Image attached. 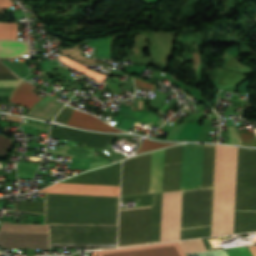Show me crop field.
Returning <instances> with one entry per match:
<instances>
[{
  "label": "crop field",
  "instance_id": "obj_1",
  "mask_svg": "<svg viewBox=\"0 0 256 256\" xmlns=\"http://www.w3.org/2000/svg\"><path fill=\"white\" fill-rule=\"evenodd\" d=\"M45 202H15L19 212L43 214ZM119 198L46 194L44 224L117 225Z\"/></svg>",
  "mask_w": 256,
  "mask_h": 256
},
{
  "label": "crop field",
  "instance_id": "obj_2",
  "mask_svg": "<svg viewBox=\"0 0 256 256\" xmlns=\"http://www.w3.org/2000/svg\"><path fill=\"white\" fill-rule=\"evenodd\" d=\"M117 226L51 225V245L116 246ZM0 244L5 247L48 248V225H2Z\"/></svg>",
  "mask_w": 256,
  "mask_h": 256
},
{
  "label": "crop field",
  "instance_id": "obj_3",
  "mask_svg": "<svg viewBox=\"0 0 256 256\" xmlns=\"http://www.w3.org/2000/svg\"><path fill=\"white\" fill-rule=\"evenodd\" d=\"M237 149L216 145L212 236L233 234Z\"/></svg>",
  "mask_w": 256,
  "mask_h": 256
},
{
  "label": "crop field",
  "instance_id": "obj_4",
  "mask_svg": "<svg viewBox=\"0 0 256 256\" xmlns=\"http://www.w3.org/2000/svg\"><path fill=\"white\" fill-rule=\"evenodd\" d=\"M212 188L183 191L181 229L210 226Z\"/></svg>",
  "mask_w": 256,
  "mask_h": 256
},
{
  "label": "crop field",
  "instance_id": "obj_5",
  "mask_svg": "<svg viewBox=\"0 0 256 256\" xmlns=\"http://www.w3.org/2000/svg\"><path fill=\"white\" fill-rule=\"evenodd\" d=\"M151 152L123 161L121 196L149 193Z\"/></svg>",
  "mask_w": 256,
  "mask_h": 256
},
{
  "label": "crop field",
  "instance_id": "obj_6",
  "mask_svg": "<svg viewBox=\"0 0 256 256\" xmlns=\"http://www.w3.org/2000/svg\"><path fill=\"white\" fill-rule=\"evenodd\" d=\"M204 149L201 145L183 146L180 190L202 187Z\"/></svg>",
  "mask_w": 256,
  "mask_h": 256
},
{
  "label": "crop field",
  "instance_id": "obj_7",
  "mask_svg": "<svg viewBox=\"0 0 256 256\" xmlns=\"http://www.w3.org/2000/svg\"><path fill=\"white\" fill-rule=\"evenodd\" d=\"M97 256H185L178 242L96 251Z\"/></svg>",
  "mask_w": 256,
  "mask_h": 256
},
{
  "label": "crop field",
  "instance_id": "obj_8",
  "mask_svg": "<svg viewBox=\"0 0 256 256\" xmlns=\"http://www.w3.org/2000/svg\"><path fill=\"white\" fill-rule=\"evenodd\" d=\"M121 162L90 170L61 182L119 186Z\"/></svg>",
  "mask_w": 256,
  "mask_h": 256
},
{
  "label": "crop field",
  "instance_id": "obj_9",
  "mask_svg": "<svg viewBox=\"0 0 256 256\" xmlns=\"http://www.w3.org/2000/svg\"><path fill=\"white\" fill-rule=\"evenodd\" d=\"M49 136L80 141L86 147L106 148L116 135L85 132L61 126L59 130L51 128Z\"/></svg>",
  "mask_w": 256,
  "mask_h": 256
},
{
  "label": "crop field",
  "instance_id": "obj_10",
  "mask_svg": "<svg viewBox=\"0 0 256 256\" xmlns=\"http://www.w3.org/2000/svg\"><path fill=\"white\" fill-rule=\"evenodd\" d=\"M235 210H256V149H250L249 187H236Z\"/></svg>",
  "mask_w": 256,
  "mask_h": 256
},
{
  "label": "crop field",
  "instance_id": "obj_11",
  "mask_svg": "<svg viewBox=\"0 0 256 256\" xmlns=\"http://www.w3.org/2000/svg\"><path fill=\"white\" fill-rule=\"evenodd\" d=\"M38 192L119 196V187L57 183Z\"/></svg>",
  "mask_w": 256,
  "mask_h": 256
},
{
  "label": "crop field",
  "instance_id": "obj_12",
  "mask_svg": "<svg viewBox=\"0 0 256 256\" xmlns=\"http://www.w3.org/2000/svg\"><path fill=\"white\" fill-rule=\"evenodd\" d=\"M162 193L121 198V202L138 200L139 206L152 205L151 243L159 242Z\"/></svg>",
  "mask_w": 256,
  "mask_h": 256
},
{
  "label": "crop field",
  "instance_id": "obj_13",
  "mask_svg": "<svg viewBox=\"0 0 256 256\" xmlns=\"http://www.w3.org/2000/svg\"><path fill=\"white\" fill-rule=\"evenodd\" d=\"M151 206L120 210L119 230L150 226Z\"/></svg>",
  "mask_w": 256,
  "mask_h": 256
},
{
  "label": "crop field",
  "instance_id": "obj_14",
  "mask_svg": "<svg viewBox=\"0 0 256 256\" xmlns=\"http://www.w3.org/2000/svg\"><path fill=\"white\" fill-rule=\"evenodd\" d=\"M63 104L48 95L37 103L25 116L51 121Z\"/></svg>",
  "mask_w": 256,
  "mask_h": 256
},
{
  "label": "crop field",
  "instance_id": "obj_15",
  "mask_svg": "<svg viewBox=\"0 0 256 256\" xmlns=\"http://www.w3.org/2000/svg\"><path fill=\"white\" fill-rule=\"evenodd\" d=\"M35 88L37 87L24 81L17 88L12 90L10 101L31 109L42 99L32 91Z\"/></svg>",
  "mask_w": 256,
  "mask_h": 256
},
{
  "label": "crop field",
  "instance_id": "obj_16",
  "mask_svg": "<svg viewBox=\"0 0 256 256\" xmlns=\"http://www.w3.org/2000/svg\"><path fill=\"white\" fill-rule=\"evenodd\" d=\"M150 227L119 231L118 247L149 243Z\"/></svg>",
  "mask_w": 256,
  "mask_h": 256
},
{
  "label": "crop field",
  "instance_id": "obj_17",
  "mask_svg": "<svg viewBox=\"0 0 256 256\" xmlns=\"http://www.w3.org/2000/svg\"><path fill=\"white\" fill-rule=\"evenodd\" d=\"M164 149L153 152L150 193L161 192L163 179Z\"/></svg>",
  "mask_w": 256,
  "mask_h": 256
},
{
  "label": "crop field",
  "instance_id": "obj_18",
  "mask_svg": "<svg viewBox=\"0 0 256 256\" xmlns=\"http://www.w3.org/2000/svg\"><path fill=\"white\" fill-rule=\"evenodd\" d=\"M256 231V211H235L234 234Z\"/></svg>",
  "mask_w": 256,
  "mask_h": 256
},
{
  "label": "crop field",
  "instance_id": "obj_19",
  "mask_svg": "<svg viewBox=\"0 0 256 256\" xmlns=\"http://www.w3.org/2000/svg\"><path fill=\"white\" fill-rule=\"evenodd\" d=\"M22 54H29L27 42L0 41V58H22Z\"/></svg>",
  "mask_w": 256,
  "mask_h": 256
},
{
  "label": "crop field",
  "instance_id": "obj_20",
  "mask_svg": "<svg viewBox=\"0 0 256 256\" xmlns=\"http://www.w3.org/2000/svg\"><path fill=\"white\" fill-rule=\"evenodd\" d=\"M181 163L164 165L162 192L179 190Z\"/></svg>",
  "mask_w": 256,
  "mask_h": 256
},
{
  "label": "crop field",
  "instance_id": "obj_21",
  "mask_svg": "<svg viewBox=\"0 0 256 256\" xmlns=\"http://www.w3.org/2000/svg\"><path fill=\"white\" fill-rule=\"evenodd\" d=\"M249 149L239 147L236 186L248 185Z\"/></svg>",
  "mask_w": 256,
  "mask_h": 256
},
{
  "label": "crop field",
  "instance_id": "obj_22",
  "mask_svg": "<svg viewBox=\"0 0 256 256\" xmlns=\"http://www.w3.org/2000/svg\"><path fill=\"white\" fill-rule=\"evenodd\" d=\"M215 145L206 144L203 187L212 186Z\"/></svg>",
  "mask_w": 256,
  "mask_h": 256
},
{
  "label": "crop field",
  "instance_id": "obj_23",
  "mask_svg": "<svg viewBox=\"0 0 256 256\" xmlns=\"http://www.w3.org/2000/svg\"><path fill=\"white\" fill-rule=\"evenodd\" d=\"M63 63H65L66 65L80 71V72H83L89 76H91L92 78H94L95 80L99 81V82H103L104 78H105V75H102V74H99V73H96V72H93V71H90V70H87L85 69V67L63 57V56H60L58 57Z\"/></svg>",
  "mask_w": 256,
  "mask_h": 256
},
{
  "label": "crop field",
  "instance_id": "obj_24",
  "mask_svg": "<svg viewBox=\"0 0 256 256\" xmlns=\"http://www.w3.org/2000/svg\"><path fill=\"white\" fill-rule=\"evenodd\" d=\"M210 236V227L199 229L181 230L180 240L194 239Z\"/></svg>",
  "mask_w": 256,
  "mask_h": 256
},
{
  "label": "crop field",
  "instance_id": "obj_25",
  "mask_svg": "<svg viewBox=\"0 0 256 256\" xmlns=\"http://www.w3.org/2000/svg\"><path fill=\"white\" fill-rule=\"evenodd\" d=\"M0 39H17V23H0Z\"/></svg>",
  "mask_w": 256,
  "mask_h": 256
},
{
  "label": "crop field",
  "instance_id": "obj_26",
  "mask_svg": "<svg viewBox=\"0 0 256 256\" xmlns=\"http://www.w3.org/2000/svg\"><path fill=\"white\" fill-rule=\"evenodd\" d=\"M181 150L182 146L166 148L164 164L181 162Z\"/></svg>",
  "mask_w": 256,
  "mask_h": 256
},
{
  "label": "crop field",
  "instance_id": "obj_27",
  "mask_svg": "<svg viewBox=\"0 0 256 256\" xmlns=\"http://www.w3.org/2000/svg\"><path fill=\"white\" fill-rule=\"evenodd\" d=\"M174 144H178V143H159V142H154V141H150L148 139H145L144 142L137 149L135 154L143 153V152H147V151H151V150H155V149H159V148H163V147H167V146L174 145Z\"/></svg>",
  "mask_w": 256,
  "mask_h": 256
},
{
  "label": "crop field",
  "instance_id": "obj_28",
  "mask_svg": "<svg viewBox=\"0 0 256 256\" xmlns=\"http://www.w3.org/2000/svg\"><path fill=\"white\" fill-rule=\"evenodd\" d=\"M88 117H89L88 114L74 110V112L68 122V125L84 128Z\"/></svg>",
  "mask_w": 256,
  "mask_h": 256
},
{
  "label": "crop field",
  "instance_id": "obj_29",
  "mask_svg": "<svg viewBox=\"0 0 256 256\" xmlns=\"http://www.w3.org/2000/svg\"><path fill=\"white\" fill-rule=\"evenodd\" d=\"M179 244L182 247L184 253L205 250L200 239L181 241Z\"/></svg>",
  "mask_w": 256,
  "mask_h": 256
},
{
  "label": "crop field",
  "instance_id": "obj_30",
  "mask_svg": "<svg viewBox=\"0 0 256 256\" xmlns=\"http://www.w3.org/2000/svg\"><path fill=\"white\" fill-rule=\"evenodd\" d=\"M186 256H227L224 249L187 253Z\"/></svg>",
  "mask_w": 256,
  "mask_h": 256
},
{
  "label": "crop field",
  "instance_id": "obj_31",
  "mask_svg": "<svg viewBox=\"0 0 256 256\" xmlns=\"http://www.w3.org/2000/svg\"><path fill=\"white\" fill-rule=\"evenodd\" d=\"M73 111V108L65 106L60 113L57 115V117L55 118V122H60V123H67L71 113Z\"/></svg>",
  "mask_w": 256,
  "mask_h": 256
},
{
  "label": "crop field",
  "instance_id": "obj_32",
  "mask_svg": "<svg viewBox=\"0 0 256 256\" xmlns=\"http://www.w3.org/2000/svg\"><path fill=\"white\" fill-rule=\"evenodd\" d=\"M226 251L229 256H252L248 247L227 248Z\"/></svg>",
  "mask_w": 256,
  "mask_h": 256
},
{
  "label": "crop field",
  "instance_id": "obj_33",
  "mask_svg": "<svg viewBox=\"0 0 256 256\" xmlns=\"http://www.w3.org/2000/svg\"><path fill=\"white\" fill-rule=\"evenodd\" d=\"M243 139V145L256 146L255 133H240Z\"/></svg>",
  "mask_w": 256,
  "mask_h": 256
},
{
  "label": "crop field",
  "instance_id": "obj_34",
  "mask_svg": "<svg viewBox=\"0 0 256 256\" xmlns=\"http://www.w3.org/2000/svg\"><path fill=\"white\" fill-rule=\"evenodd\" d=\"M11 143V139H8L3 135H0V155L7 153V149L10 147Z\"/></svg>",
  "mask_w": 256,
  "mask_h": 256
},
{
  "label": "crop field",
  "instance_id": "obj_35",
  "mask_svg": "<svg viewBox=\"0 0 256 256\" xmlns=\"http://www.w3.org/2000/svg\"><path fill=\"white\" fill-rule=\"evenodd\" d=\"M229 130V143L241 145L239 135L235 127H227Z\"/></svg>",
  "mask_w": 256,
  "mask_h": 256
},
{
  "label": "crop field",
  "instance_id": "obj_36",
  "mask_svg": "<svg viewBox=\"0 0 256 256\" xmlns=\"http://www.w3.org/2000/svg\"><path fill=\"white\" fill-rule=\"evenodd\" d=\"M134 81H135V87L139 88V89H150V90L153 91V89L155 87V85L146 83L144 81H141V80H138V79H135V78H134Z\"/></svg>",
  "mask_w": 256,
  "mask_h": 256
},
{
  "label": "crop field",
  "instance_id": "obj_37",
  "mask_svg": "<svg viewBox=\"0 0 256 256\" xmlns=\"http://www.w3.org/2000/svg\"><path fill=\"white\" fill-rule=\"evenodd\" d=\"M21 82H23V80H4V81H0V87L17 86Z\"/></svg>",
  "mask_w": 256,
  "mask_h": 256
},
{
  "label": "crop field",
  "instance_id": "obj_38",
  "mask_svg": "<svg viewBox=\"0 0 256 256\" xmlns=\"http://www.w3.org/2000/svg\"><path fill=\"white\" fill-rule=\"evenodd\" d=\"M4 79H21V78H19L13 72L0 73V80H4Z\"/></svg>",
  "mask_w": 256,
  "mask_h": 256
},
{
  "label": "crop field",
  "instance_id": "obj_39",
  "mask_svg": "<svg viewBox=\"0 0 256 256\" xmlns=\"http://www.w3.org/2000/svg\"><path fill=\"white\" fill-rule=\"evenodd\" d=\"M0 4L2 5L3 9L14 6L11 0H0ZM0 5V12H4Z\"/></svg>",
  "mask_w": 256,
  "mask_h": 256
},
{
  "label": "crop field",
  "instance_id": "obj_40",
  "mask_svg": "<svg viewBox=\"0 0 256 256\" xmlns=\"http://www.w3.org/2000/svg\"><path fill=\"white\" fill-rule=\"evenodd\" d=\"M6 71H11V70H9L6 66L0 63V72H6Z\"/></svg>",
  "mask_w": 256,
  "mask_h": 256
},
{
  "label": "crop field",
  "instance_id": "obj_41",
  "mask_svg": "<svg viewBox=\"0 0 256 256\" xmlns=\"http://www.w3.org/2000/svg\"><path fill=\"white\" fill-rule=\"evenodd\" d=\"M249 249L252 252L253 256H256V245L255 246H249Z\"/></svg>",
  "mask_w": 256,
  "mask_h": 256
},
{
  "label": "crop field",
  "instance_id": "obj_42",
  "mask_svg": "<svg viewBox=\"0 0 256 256\" xmlns=\"http://www.w3.org/2000/svg\"><path fill=\"white\" fill-rule=\"evenodd\" d=\"M139 109H143L142 101H139Z\"/></svg>",
  "mask_w": 256,
  "mask_h": 256
}]
</instances>
